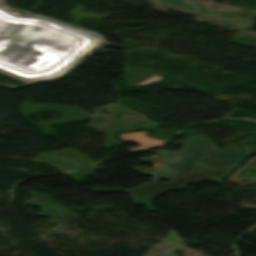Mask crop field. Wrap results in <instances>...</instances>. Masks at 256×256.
<instances>
[{
    "label": "crop field",
    "instance_id": "obj_7",
    "mask_svg": "<svg viewBox=\"0 0 256 256\" xmlns=\"http://www.w3.org/2000/svg\"><path fill=\"white\" fill-rule=\"evenodd\" d=\"M147 152H151V153H161V152H155V151H147Z\"/></svg>",
    "mask_w": 256,
    "mask_h": 256
},
{
    "label": "crop field",
    "instance_id": "obj_2",
    "mask_svg": "<svg viewBox=\"0 0 256 256\" xmlns=\"http://www.w3.org/2000/svg\"><path fill=\"white\" fill-rule=\"evenodd\" d=\"M145 132H133V133H125L120 134V137L123 142H135L140 145L139 148H129L128 151L134 152V151H140L144 150L150 147L157 146L163 142L149 139L144 136Z\"/></svg>",
    "mask_w": 256,
    "mask_h": 256
},
{
    "label": "crop field",
    "instance_id": "obj_1",
    "mask_svg": "<svg viewBox=\"0 0 256 256\" xmlns=\"http://www.w3.org/2000/svg\"><path fill=\"white\" fill-rule=\"evenodd\" d=\"M184 146L179 152H164L165 159L158 169L134 167L145 175L155 176L157 181L143 183L130 190L90 188L93 192L122 191L128 193L135 205L142 204L148 211L156 212L151 200L169 190H184L189 184L212 181L220 184L253 152L244 155L227 153L211 141L194 136L177 143ZM159 179L169 182L159 183Z\"/></svg>",
    "mask_w": 256,
    "mask_h": 256
},
{
    "label": "crop field",
    "instance_id": "obj_4",
    "mask_svg": "<svg viewBox=\"0 0 256 256\" xmlns=\"http://www.w3.org/2000/svg\"><path fill=\"white\" fill-rule=\"evenodd\" d=\"M155 1V0H153ZM156 3H158L159 5L163 6V7H174V6H178L181 7L183 9L189 10V11H198L200 9L192 6L189 2L185 1V0H157Z\"/></svg>",
    "mask_w": 256,
    "mask_h": 256
},
{
    "label": "crop field",
    "instance_id": "obj_3",
    "mask_svg": "<svg viewBox=\"0 0 256 256\" xmlns=\"http://www.w3.org/2000/svg\"><path fill=\"white\" fill-rule=\"evenodd\" d=\"M230 179L256 180V157L240 168Z\"/></svg>",
    "mask_w": 256,
    "mask_h": 256
},
{
    "label": "crop field",
    "instance_id": "obj_6",
    "mask_svg": "<svg viewBox=\"0 0 256 256\" xmlns=\"http://www.w3.org/2000/svg\"><path fill=\"white\" fill-rule=\"evenodd\" d=\"M141 159H142V162H148V163H154V162L160 163L161 162V160L153 159V158H141Z\"/></svg>",
    "mask_w": 256,
    "mask_h": 256
},
{
    "label": "crop field",
    "instance_id": "obj_5",
    "mask_svg": "<svg viewBox=\"0 0 256 256\" xmlns=\"http://www.w3.org/2000/svg\"><path fill=\"white\" fill-rule=\"evenodd\" d=\"M236 35H239V36H241V37L251 38V39L256 40V33L239 32V33H236Z\"/></svg>",
    "mask_w": 256,
    "mask_h": 256
}]
</instances>
